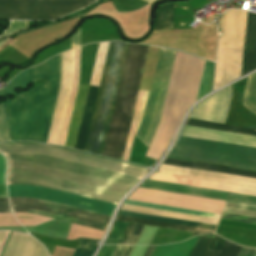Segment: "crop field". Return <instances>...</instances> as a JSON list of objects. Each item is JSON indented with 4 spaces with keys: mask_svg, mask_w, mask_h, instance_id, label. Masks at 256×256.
I'll return each mask as SVG.
<instances>
[{
    "mask_svg": "<svg viewBox=\"0 0 256 256\" xmlns=\"http://www.w3.org/2000/svg\"><path fill=\"white\" fill-rule=\"evenodd\" d=\"M7 184H29L61 190L113 204L139 177L46 155L4 154Z\"/></svg>",
    "mask_w": 256,
    "mask_h": 256,
    "instance_id": "8a807250",
    "label": "crop field"
},
{
    "mask_svg": "<svg viewBox=\"0 0 256 256\" xmlns=\"http://www.w3.org/2000/svg\"><path fill=\"white\" fill-rule=\"evenodd\" d=\"M61 54L34 67L33 82L46 84L7 101L13 141L46 143L59 87Z\"/></svg>",
    "mask_w": 256,
    "mask_h": 256,
    "instance_id": "ac0d7876",
    "label": "crop field"
},
{
    "mask_svg": "<svg viewBox=\"0 0 256 256\" xmlns=\"http://www.w3.org/2000/svg\"><path fill=\"white\" fill-rule=\"evenodd\" d=\"M205 61L177 51L160 124L147 156L159 159L185 111L196 101Z\"/></svg>",
    "mask_w": 256,
    "mask_h": 256,
    "instance_id": "34b2d1b8",
    "label": "crop field"
},
{
    "mask_svg": "<svg viewBox=\"0 0 256 256\" xmlns=\"http://www.w3.org/2000/svg\"><path fill=\"white\" fill-rule=\"evenodd\" d=\"M149 47L129 44L103 155L122 160Z\"/></svg>",
    "mask_w": 256,
    "mask_h": 256,
    "instance_id": "412701ff",
    "label": "crop field"
},
{
    "mask_svg": "<svg viewBox=\"0 0 256 256\" xmlns=\"http://www.w3.org/2000/svg\"><path fill=\"white\" fill-rule=\"evenodd\" d=\"M127 43L110 42L84 151L102 155Z\"/></svg>",
    "mask_w": 256,
    "mask_h": 256,
    "instance_id": "f4fd0767",
    "label": "crop field"
},
{
    "mask_svg": "<svg viewBox=\"0 0 256 256\" xmlns=\"http://www.w3.org/2000/svg\"><path fill=\"white\" fill-rule=\"evenodd\" d=\"M168 157L256 171V148L180 136Z\"/></svg>",
    "mask_w": 256,
    "mask_h": 256,
    "instance_id": "dd49c442",
    "label": "crop field"
},
{
    "mask_svg": "<svg viewBox=\"0 0 256 256\" xmlns=\"http://www.w3.org/2000/svg\"><path fill=\"white\" fill-rule=\"evenodd\" d=\"M125 204L143 206V207H149V208H155V209H162V210H168V211H175V212H181V213H188V214H194V215H200V216H207V217H213V218L220 217V215H215V214H209V213H203V212H197V211H191V210H185V209H179V208H173V207H167V206H161V205H155V204H148V203H142V202H136V201H130V200H127L125 202ZM119 214L125 215V216L155 220V221H162V222H168V223H174V224H180V225H187V226L211 229V230H214L216 227L213 225H207V224H201V223H195V222H189V221H182V220H176V219H170V218H164V217H157V216H151V215H145V214H139V213H133V212H126V211H121V210H120ZM131 217H124V216L118 215L116 218V220L130 222L125 233L123 234L119 244H135L138 236L133 235L131 233L137 223L192 231V232H196V233L213 232L211 230H205V229H199V228H193V227H187V226H180V225H174V224H168V223H162V222H155V221H149V220H143V219H137V218H131ZM141 224H137L136 228L133 231L134 234H138V235L140 234V232L144 226Z\"/></svg>",
    "mask_w": 256,
    "mask_h": 256,
    "instance_id": "e52e79f7",
    "label": "crop field"
},
{
    "mask_svg": "<svg viewBox=\"0 0 256 256\" xmlns=\"http://www.w3.org/2000/svg\"><path fill=\"white\" fill-rule=\"evenodd\" d=\"M95 0H0V5L85 7ZM81 8L0 6V19L52 20Z\"/></svg>",
    "mask_w": 256,
    "mask_h": 256,
    "instance_id": "d8731c3e",
    "label": "crop field"
},
{
    "mask_svg": "<svg viewBox=\"0 0 256 256\" xmlns=\"http://www.w3.org/2000/svg\"><path fill=\"white\" fill-rule=\"evenodd\" d=\"M1 153L46 154L142 177L144 168L69 151L49 145L0 144ZM146 174V173H145Z\"/></svg>",
    "mask_w": 256,
    "mask_h": 256,
    "instance_id": "5a996713",
    "label": "crop field"
},
{
    "mask_svg": "<svg viewBox=\"0 0 256 256\" xmlns=\"http://www.w3.org/2000/svg\"><path fill=\"white\" fill-rule=\"evenodd\" d=\"M174 53H175V51L170 50V49L161 48V50H160V54H159L153 82H152L150 96H149V99H148V102L146 105V109H145L143 123L138 131V134H137V136L147 146H149L152 136L154 134V131L156 129V126L158 124V120H159V116H160V112H161V108H162V103H163V99H164V95H165V91H166V86H167V82H168V78H169V74H170V70H171ZM162 90H163V93H162L160 104H159V107L157 110L155 122H154L153 128L151 130V133H150L147 141L145 142V140L150 132V129H151L154 113H155V110H156V107L158 104V100H159Z\"/></svg>",
    "mask_w": 256,
    "mask_h": 256,
    "instance_id": "3316defc",
    "label": "crop field"
},
{
    "mask_svg": "<svg viewBox=\"0 0 256 256\" xmlns=\"http://www.w3.org/2000/svg\"><path fill=\"white\" fill-rule=\"evenodd\" d=\"M32 199L31 198H10L11 208H12L13 212H28L34 208H38V209H42V210L46 209L48 212L34 209V210L30 211L29 213L47 216V217H51V218H57V219L69 221V222H72L75 224H79V225H83V226H87V227H91V228H95V229H99V230H103V231L105 230V228L110 220V217H108V216H104V215H100V214H96V213H92V212H88V211H84V210H79V209H75V208H71V207H67V206H63V205H59V204H55V203H50V202L34 199L38 204H40L44 208L43 209L40 205H38ZM76 212L103 218V219H105V221L103 224H100V223L76 218V217H74ZM76 216L85 218V219H89V220H93V221H97V222H101V223L103 222L102 219H98V218H94V217H90V216H86V215H82V214H78V213L76 214Z\"/></svg>",
    "mask_w": 256,
    "mask_h": 256,
    "instance_id": "28ad6ade",
    "label": "crop field"
},
{
    "mask_svg": "<svg viewBox=\"0 0 256 256\" xmlns=\"http://www.w3.org/2000/svg\"><path fill=\"white\" fill-rule=\"evenodd\" d=\"M10 197H33L111 216L112 204L37 186L8 185Z\"/></svg>",
    "mask_w": 256,
    "mask_h": 256,
    "instance_id": "d1516ede",
    "label": "crop field"
},
{
    "mask_svg": "<svg viewBox=\"0 0 256 256\" xmlns=\"http://www.w3.org/2000/svg\"><path fill=\"white\" fill-rule=\"evenodd\" d=\"M128 199L220 214L226 201L139 188Z\"/></svg>",
    "mask_w": 256,
    "mask_h": 256,
    "instance_id": "22f410ed",
    "label": "crop field"
},
{
    "mask_svg": "<svg viewBox=\"0 0 256 256\" xmlns=\"http://www.w3.org/2000/svg\"><path fill=\"white\" fill-rule=\"evenodd\" d=\"M141 187L176 192V193L190 194V195H196V196L210 197V198H216V199H223L230 202L256 206V197L242 195V194H235V193L197 188V187H191V186H184V185H177V184H171V183H164V182H157V181H151V180H147Z\"/></svg>",
    "mask_w": 256,
    "mask_h": 256,
    "instance_id": "cbeb9de0",
    "label": "crop field"
},
{
    "mask_svg": "<svg viewBox=\"0 0 256 256\" xmlns=\"http://www.w3.org/2000/svg\"><path fill=\"white\" fill-rule=\"evenodd\" d=\"M230 87L206 98L191 112L189 118L224 123L230 100Z\"/></svg>",
    "mask_w": 256,
    "mask_h": 256,
    "instance_id": "5142ce71",
    "label": "crop field"
},
{
    "mask_svg": "<svg viewBox=\"0 0 256 256\" xmlns=\"http://www.w3.org/2000/svg\"><path fill=\"white\" fill-rule=\"evenodd\" d=\"M181 135L256 147V136L213 130L189 125L185 126Z\"/></svg>",
    "mask_w": 256,
    "mask_h": 256,
    "instance_id": "d9b57169",
    "label": "crop field"
},
{
    "mask_svg": "<svg viewBox=\"0 0 256 256\" xmlns=\"http://www.w3.org/2000/svg\"><path fill=\"white\" fill-rule=\"evenodd\" d=\"M2 256H49L45 248L31 236L12 232Z\"/></svg>",
    "mask_w": 256,
    "mask_h": 256,
    "instance_id": "733c2abd",
    "label": "crop field"
},
{
    "mask_svg": "<svg viewBox=\"0 0 256 256\" xmlns=\"http://www.w3.org/2000/svg\"><path fill=\"white\" fill-rule=\"evenodd\" d=\"M255 68H256V14L248 12L241 75Z\"/></svg>",
    "mask_w": 256,
    "mask_h": 256,
    "instance_id": "4a817a6b",
    "label": "crop field"
},
{
    "mask_svg": "<svg viewBox=\"0 0 256 256\" xmlns=\"http://www.w3.org/2000/svg\"><path fill=\"white\" fill-rule=\"evenodd\" d=\"M97 89H98V87L90 85L87 99H86L83 117H82L80 129H79L76 146H75L76 149H79L82 151L84 149V145H85V141H86V136H87V132H88V128H89V123H90V119H91V115H92V110H93V106H94V102H95ZM91 101H92V104H91L90 112L88 113Z\"/></svg>",
    "mask_w": 256,
    "mask_h": 256,
    "instance_id": "bc2a9ffb",
    "label": "crop field"
},
{
    "mask_svg": "<svg viewBox=\"0 0 256 256\" xmlns=\"http://www.w3.org/2000/svg\"><path fill=\"white\" fill-rule=\"evenodd\" d=\"M71 223L51 220L36 227H25L28 232H34L50 237L66 239Z\"/></svg>",
    "mask_w": 256,
    "mask_h": 256,
    "instance_id": "214f88e0",
    "label": "crop field"
},
{
    "mask_svg": "<svg viewBox=\"0 0 256 256\" xmlns=\"http://www.w3.org/2000/svg\"><path fill=\"white\" fill-rule=\"evenodd\" d=\"M87 85H79L76 102L72 114V119L69 127V132L66 140L65 146L72 147L74 146L75 137L78 129V124L80 120V115L82 111V106L85 98Z\"/></svg>",
    "mask_w": 256,
    "mask_h": 256,
    "instance_id": "92a150f3",
    "label": "crop field"
},
{
    "mask_svg": "<svg viewBox=\"0 0 256 256\" xmlns=\"http://www.w3.org/2000/svg\"><path fill=\"white\" fill-rule=\"evenodd\" d=\"M164 163L172 164V165L185 166V167H191V168L204 169V170L217 171V172H223V173H230V174H236V175H243V176H249V177H256V173H254V172H247V171H241V170L221 168V167L202 165V164H196V163H189V162H183V161H176V160H170V159H166L164 161Z\"/></svg>",
    "mask_w": 256,
    "mask_h": 256,
    "instance_id": "dafd665d",
    "label": "crop field"
},
{
    "mask_svg": "<svg viewBox=\"0 0 256 256\" xmlns=\"http://www.w3.org/2000/svg\"><path fill=\"white\" fill-rule=\"evenodd\" d=\"M175 2L159 6L154 30L171 29Z\"/></svg>",
    "mask_w": 256,
    "mask_h": 256,
    "instance_id": "00972430",
    "label": "crop field"
},
{
    "mask_svg": "<svg viewBox=\"0 0 256 256\" xmlns=\"http://www.w3.org/2000/svg\"><path fill=\"white\" fill-rule=\"evenodd\" d=\"M243 104L256 114V73L249 76L244 91Z\"/></svg>",
    "mask_w": 256,
    "mask_h": 256,
    "instance_id": "a9b5d70f",
    "label": "crop field"
},
{
    "mask_svg": "<svg viewBox=\"0 0 256 256\" xmlns=\"http://www.w3.org/2000/svg\"><path fill=\"white\" fill-rule=\"evenodd\" d=\"M186 124L207 127V128L220 129V130H226V131L239 132V133H245V134H251V135H253V133H254L253 129H247V128H241V127H235V126H229V125H223V124H217V123H211V122H205V121H199V120H193V119H188ZM254 135H256V131H255Z\"/></svg>",
    "mask_w": 256,
    "mask_h": 256,
    "instance_id": "4177f3b9",
    "label": "crop field"
},
{
    "mask_svg": "<svg viewBox=\"0 0 256 256\" xmlns=\"http://www.w3.org/2000/svg\"><path fill=\"white\" fill-rule=\"evenodd\" d=\"M241 247L225 241L217 256H237ZM238 256H256V249L242 247Z\"/></svg>",
    "mask_w": 256,
    "mask_h": 256,
    "instance_id": "730fd06b",
    "label": "crop field"
},
{
    "mask_svg": "<svg viewBox=\"0 0 256 256\" xmlns=\"http://www.w3.org/2000/svg\"><path fill=\"white\" fill-rule=\"evenodd\" d=\"M32 74H33V67L21 72L9 83V85L6 89L0 91V96L6 94L16 88L27 86L30 83H32Z\"/></svg>",
    "mask_w": 256,
    "mask_h": 256,
    "instance_id": "eef30255",
    "label": "crop field"
},
{
    "mask_svg": "<svg viewBox=\"0 0 256 256\" xmlns=\"http://www.w3.org/2000/svg\"><path fill=\"white\" fill-rule=\"evenodd\" d=\"M213 68L214 64L206 61L197 99L203 97L210 92L212 85Z\"/></svg>",
    "mask_w": 256,
    "mask_h": 256,
    "instance_id": "ae1a2a85",
    "label": "crop field"
},
{
    "mask_svg": "<svg viewBox=\"0 0 256 256\" xmlns=\"http://www.w3.org/2000/svg\"><path fill=\"white\" fill-rule=\"evenodd\" d=\"M223 212L256 217V207L230 202L226 203Z\"/></svg>",
    "mask_w": 256,
    "mask_h": 256,
    "instance_id": "d3111659",
    "label": "crop field"
},
{
    "mask_svg": "<svg viewBox=\"0 0 256 256\" xmlns=\"http://www.w3.org/2000/svg\"><path fill=\"white\" fill-rule=\"evenodd\" d=\"M11 141L7 115L4 104H0V142Z\"/></svg>",
    "mask_w": 256,
    "mask_h": 256,
    "instance_id": "750c4746",
    "label": "crop field"
},
{
    "mask_svg": "<svg viewBox=\"0 0 256 256\" xmlns=\"http://www.w3.org/2000/svg\"><path fill=\"white\" fill-rule=\"evenodd\" d=\"M214 235L213 234H206L201 235L196 247L194 248L191 256H203L210 245Z\"/></svg>",
    "mask_w": 256,
    "mask_h": 256,
    "instance_id": "bd1437ed",
    "label": "crop field"
},
{
    "mask_svg": "<svg viewBox=\"0 0 256 256\" xmlns=\"http://www.w3.org/2000/svg\"><path fill=\"white\" fill-rule=\"evenodd\" d=\"M96 246L95 241L82 239L73 256H92Z\"/></svg>",
    "mask_w": 256,
    "mask_h": 256,
    "instance_id": "1d83c4d3",
    "label": "crop field"
},
{
    "mask_svg": "<svg viewBox=\"0 0 256 256\" xmlns=\"http://www.w3.org/2000/svg\"><path fill=\"white\" fill-rule=\"evenodd\" d=\"M128 223L115 221L114 228L105 244H118Z\"/></svg>",
    "mask_w": 256,
    "mask_h": 256,
    "instance_id": "120bbe31",
    "label": "crop field"
},
{
    "mask_svg": "<svg viewBox=\"0 0 256 256\" xmlns=\"http://www.w3.org/2000/svg\"><path fill=\"white\" fill-rule=\"evenodd\" d=\"M221 219L243 222V223H249V224H256V218L239 216V215H232V214H226V213L222 214Z\"/></svg>",
    "mask_w": 256,
    "mask_h": 256,
    "instance_id": "d32e631a",
    "label": "crop field"
},
{
    "mask_svg": "<svg viewBox=\"0 0 256 256\" xmlns=\"http://www.w3.org/2000/svg\"><path fill=\"white\" fill-rule=\"evenodd\" d=\"M27 28H28L27 22L12 21L11 26L0 37L11 35L17 31L24 30Z\"/></svg>",
    "mask_w": 256,
    "mask_h": 256,
    "instance_id": "5866460e",
    "label": "crop field"
},
{
    "mask_svg": "<svg viewBox=\"0 0 256 256\" xmlns=\"http://www.w3.org/2000/svg\"><path fill=\"white\" fill-rule=\"evenodd\" d=\"M225 239L221 238L220 236L218 235H215L210 247H209V250L215 252L218 254L223 242H224ZM226 241V240H225ZM205 256H216V254L210 252L207 250Z\"/></svg>",
    "mask_w": 256,
    "mask_h": 256,
    "instance_id": "028f5c9d",
    "label": "crop field"
},
{
    "mask_svg": "<svg viewBox=\"0 0 256 256\" xmlns=\"http://www.w3.org/2000/svg\"><path fill=\"white\" fill-rule=\"evenodd\" d=\"M132 246H117L112 256H128Z\"/></svg>",
    "mask_w": 256,
    "mask_h": 256,
    "instance_id": "e1f06a70",
    "label": "crop field"
},
{
    "mask_svg": "<svg viewBox=\"0 0 256 256\" xmlns=\"http://www.w3.org/2000/svg\"><path fill=\"white\" fill-rule=\"evenodd\" d=\"M6 169V161L4 157L0 154V184H5L4 174Z\"/></svg>",
    "mask_w": 256,
    "mask_h": 256,
    "instance_id": "0bd39190",
    "label": "crop field"
},
{
    "mask_svg": "<svg viewBox=\"0 0 256 256\" xmlns=\"http://www.w3.org/2000/svg\"><path fill=\"white\" fill-rule=\"evenodd\" d=\"M116 246L105 245L98 256H111Z\"/></svg>",
    "mask_w": 256,
    "mask_h": 256,
    "instance_id": "b80d0937",
    "label": "crop field"
},
{
    "mask_svg": "<svg viewBox=\"0 0 256 256\" xmlns=\"http://www.w3.org/2000/svg\"><path fill=\"white\" fill-rule=\"evenodd\" d=\"M0 212H11L8 198H0Z\"/></svg>",
    "mask_w": 256,
    "mask_h": 256,
    "instance_id": "c035e120",
    "label": "crop field"
},
{
    "mask_svg": "<svg viewBox=\"0 0 256 256\" xmlns=\"http://www.w3.org/2000/svg\"><path fill=\"white\" fill-rule=\"evenodd\" d=\"M8 232L9 231H0V252L2 250Z\"/></svg>",
    "mask_w": 256,
    "mask_h": 256,
    "instance_id": "c21b1889",
    "label": "crop field"
},
{
    "mask_svg": "<svg viewBox=\"0 0 256 256\" xmlns=\"http://www.w3.org/2000/svg\"><path fill=\"white\" fill-rule=\"evenodd\" d=\"M0 229H13V230H16V231H20V232H24V233H25V230L23 229L22 226H19V227H0Z\"/></svg>",
    "mask_w": 256,
    "mask_h": 256,
    "instance_id": "03da06ac",
    "label": "crop field"
},
{
    "mask_svg": "<svg viewBox=\"0 0 256 256\" xmlns=\"http://www.w3.org/2000/svg\"><path fill=\"white\" fill-rule=\"evenodd\" d=\"M154 246H149L145 256H149V254L151 253L152 249H153Z\"/></svg>",
    "mask_w": 256,
    "mask_h": 256,
    "instance_id": "b54c1fbb",
    "label": "crop field"
},
{
    "mask_svg": "<svg viewBox=\"0 0 256 256\" xmlns=\"http://www.w3.org/2000/svg\"><path fill=\"white\" fill-rule=\"evenodd\" d=\"M8 39H9V38H8ZM8 39L1 40V41H0V46H2Z\"/></svg>",
    "mask_w": 256,
    "mask_h": 256,
    "instance_id": "5d738f31",
    "label": "crop field"
},
{
    "mask_svg": "<svg viewBox=\"0 0 256 256\" xmlns=\"http://www.w3.org/2000/svg\"><path fill=\"white\" fill-rule=\"evenodd\" d=\"M146 1L150 2V1H152V0H146Z\"/></svg>",
    "mask_w": 256,
    "mask_h": 256,
    "instance_id": "d23c7cc5",
    "label": "crop field"
}]
</instances>
